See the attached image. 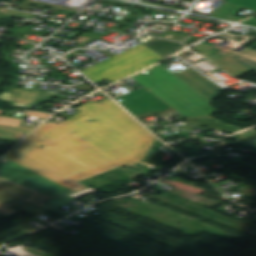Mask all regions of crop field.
Wrapping results in <instances>:
<instances>
[{
    "mask_svg": "<svg viewBox=\"0 0 256 256\" xmlns=\"http://www.w3.org/2000/svg\"><path fill=\"white\" fill-rule=\"evenodd\" d=\"M81 113L60 123L51 120L5 157L76 192L78 181L141 161L155 140L109 98L88 102Z\"/></svg>",
    "mask_w": 256,
    "mask_h": 256,
    "instance_id": "8a807250",
    "label": "crop field"
},
{
    "mask_svg": "<svg viewBox=\"0 0 256 256\" xmlns=\"http://www.w3.org/2000/svg\"><path fill=\"white\" fill-rule=\"evenodd\" d=\"M74 191L5 157L0 160V203L29 201L42 207L50 198Z\"/></svg>",
    "mask_w": 256,
    "mask_h": 256,
    "instance_id": "ac0d7876",
    "label": "crop field"
},
{
    "mask_svg": "<svg viewBox=\"0 0 256 256\" xmlns=\"http://www.w3.org/2000/svg\"><path fill=\"white\" fill-rule=\"evenodd\" d=\"M187 118L217 112L212 103L160 64L132 77Z\"/></svg>",
    "mask_w": 256,
    "mask_h": 256,
    "instance_id": "34b2d1b8",
    "label": "crop field"
},
{
    "mask_svg": "<svg viewBox=\"0 0 256 256\" xmlns=\"http://www.w3.org/2000/svg\"><path fill=\"white\" fill-rule=\"evenodd\" d=\"M163 59L145 45L140 44L83 71V73L96 84L104 80L113 83Z\"/></svg>",
    "mask_w": 256,
    "mask_h": 256,
    "instance_id": "412701ff",
    "label": "crop field"
},
{
    "mask_svg": "<svg viewBox=\"0 0 256 256\" xmlns=\"http://www.w3.org/2000/svg\"><path fill=\"white\" fill-rule=\"evenodd\" d=\"M193 48L234 77L251 71L256 72V51L252 49L247 48L236 53L206 42Z\"/></svg>",
    "mask_w": 256,
    "mask_h": 256,
    "instance_id": "f4fd0767",
    "label": "crop field"
},
{
    "mask_svg": "<svg viewBox=\"0 0 256 256\" xmlns=\"http://www.w3.org/2000/svg\"><path fill=\"white\" fill-rule=\"evenodd\" d=\"M135 117L155 111L156 113L171 108L168 104L149 92L145 87L115 98Z\"/></svg>",
    "mask_w": 256,
    "mask_h": 256,
    "instance_id": "dd49c442",
    "label": "crop field"
},
{
    "mask_svg": "<svg viewBox=\"0 0 256 256\" xmlns=\"http://www.w3.org/2000/svg\"><path fill=\"white\" fill-rule=\"evenodd\" d=\"M56 95L58 94L8 87L4 94L0 96V98L3 101L9 102L11 106L32 109Z\"/></svg>",
    "mask_w": 256,
    "mask_h": 256,
    "instance_id": "e52e79f7",
    "label": "crop field"
},
{
    "mask_svg": "<svg viewBox=\"0 0 256 256\" xmlns=\"http://www.w3.org/2000/svg\"><path fill=\"white\" fill-rule=\"evenodd\" d=\"M176 75L211 101L225 91L192 68Z\"/></svg>",
    "mask_w": 256,
    "mask_h": 256,
    "instance_id": "d8731c3e",
    "label": "crop field"
},
{
    "mask_svg": "<svg viewBox=\"0 0 256 256\" xmlns=\"http://www.w3.org/2000/svg\"><path fill=\"white\" fill-rule=\"evenodd\" d=\"M146 46L164 58L181 50V48L184 47L183 45H181L179 43L165 41L160 38L154 40L153 42H151L150 44H148Z\"/></svg>",
    "mask_w": 256,
    "mask_h": 256,
    "instance_id": "5a996713",
    "label": "crop field"
},
{
    "mask_svg": "<svg viewBox=\"0 0 256 256\" xmlns=\"http://www.w3.org/2000/svg\"><path fill=\"white\" fill-rule=\"evenodd\" d=\"M186 121H190V122H193V123L208 126V127H211V128H214V129H217V130H220V131H224V132H227V133H230V134H233L235 132L243 130V129H240V128H237V127L225 124V123H222V122H220L221 120L215 119V118H212V117L186 119Z\"/></svg>",
    "mask_w": 256,
    "mask_h": 256,
    "instance_id": "3316defc",
    "label": "crop field"
},
{
    "mask_svg": "<svg viewBox=\"0 0 256 256\" xmlns=\"http://www.w3.org/2000/svg\"><path fill=\"white\" fill-rule=\"evenodd\" d=\"M240 9H248L241 6H237L231 3H223L222 6L218 9V11L215 13V17L232 20V21H240L243 19L236 18V14ZM251 10V9H248ZM254 11V10H252ZM214 17V18H215Z\"/></svg>",
    "mask_w": 256,
    "mask_h": 256,
    "instance_id": "28ad6ade",
    "label": "crop field"
},
{
    "mask_svg": "<svg viewBox=\"0 0 256 256\" xmlns=\"http://www.w3.org/2000/svg\"><path fill=\"white\" fill-rule=\"evenodd\" d=\"M28 132L30 131L15 127L0 126V140L16 143Z\"/></svg>",
    "mask_w": 256,
    "mask_h": 256,
    "instance_id": "d1516ede",
    "label": "crop field"
},
{
    "mask_svg": "<svg viewBox=\"0 0 256 256\" xmlns=\"http://www.w3.org/2000/svg\"><path fill=\"white\" fill-rule=\"evenodd\" d=\"M237 135H240L243 138L233 144L256 150V130L250 129Z\"/></svg>",
    "mask_w": 256,
    "mask_h": 256,
    "instance_id": "22f410ed",
    "label": "crop field"
},
{
    "mask_svg": "<svg viewBox=\"0 0 256 256\" xmlns=\"http://www.w3.org/2000/svg\"><path fill=\"white\" fill-rule=\"evenodd\" d=\"M11 16H23V17H29V18L37 17V15H31V14H25V13H19L15 11L0 9V19L5 17H11Z\"/></svg>",
    "mask_w": 256,
    "mask_h": 256,
    "instance_id": "cbeb9de0",
    "label": "crop field"
},
{
    "mask_svg": "<svg viewBox=\"0 0 256 256\" xmlns=\"http://www.w3.org/2000/svg\"><path fill=\"white\" fill-rule=\"evenodd\" d=\"M21 120L0 116V125L17 126ZM30 130V129H29Z\"/></svg>",
    "mask_w": 256,
    "mask_h": 256,
    "instance_id": "5142ce71",
    "label": "crop field"
},
{
    "mask_svg": "<svg viewBox=\"0 0 256 256\" xmlns=\"http://www.w3.org/2000/svg\"><path fill=\"white\" fill-rule=\"evenodd\" d=\"M27 115H29V116H35V117L46 118L49 114L36 113V112H28Z\"/></svg>",
    "mask_w": 256,
    "mask_h": 256,
    "instance_id": "d9b57169",
    "label": "crop field"
},
{
    "mask_svg": "<svg viewBox=\"0 0 256 256\" xmlns=\"http://www.w3.org/2000/svg\"><path fill=\"white\" fill-rule=\"evenodd\" d=\"M244 24H249V25L256 26V18H252V19L244 22Z\"/></svg>",
    "mask_w": 256,
    "mask_h": 256,
    "instance_id": "733c2abd",
    "label": "crop field"
}]
</instances>
